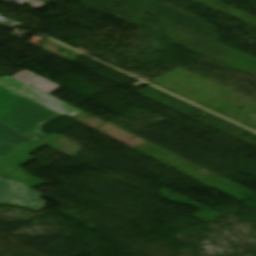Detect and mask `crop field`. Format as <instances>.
Segmentation results:
<instances>
[{
  "label": "crop field",
  "mask_w": 256,
  "mask_h": 256,
  "mask_svg": "<svg viewBox=\"0 0 256 256\" xmlns=\"http://www.w3.org/2000/svg\"><path fill=\"white\" fill-rule=\"evenodd\" d=\"M43 106L54 110L62 115H65L69 118L83 112L57 98H52L51 100H49L47 103H45ZM72 119V118H71Z\"/></svg>",
  "instance_id": "e52e79f7"
},
{
  "label": "crop field",
  "mask_w": 256,
  "mask_h": 256,
  "mask_svg": "<svg viewBox=\"0 0 256 256\" xmlns=\"http://www.w3.org/2000/svg\"><path fill=\"white\" fill-rule=\"evenodd\" d=\"M0 85L40 105L53 97L11 77H0Z\"/></svg>",
  "instance_id": "412701ff"
},
{
  "label": "crop field",
  "mask_w": 256,
  "mask_h": 256,
  "mask_svg": "<svg viewBox=\"0 0 256 256\" xmlns=\"http://www.w3.org/2000/svg\"><path fill=\"white\" fill-rule=\"evenodd\" d=\"M62 115L0 86V123L37 140L41 125Z\"/></svg>",
  "instance_id": "8a807250"
},
{
  "label": "crop field",
  "mask_w": 256,
  "mask_h": 256,
  "mask_svg": "<svg viewBox=\"0 0 256 256\" xmlns=\"http://www.w3.org/2000/svg\"><path fill=\"white\" fill-rule=\"evenodd\" d=\"M19 191L22 194L32 195L34 197H43L35 190L26 187L20 183ZM34 197L18 194L16 191V181L0 177V204H12L29 207L35 211L47 206V201L36 199Z\"/></svg>",
  "instance_id": "34b2d1b8"
},
{
  "label": "crop field",
  "mask_w": 256,
  "mask_h": 256,
  "mask_svg": "<svg viewBox=\"0 0 256 256\" xmlns=\"http://www.w3.org/2000/svg\"><path fill=\"white\" fill-rule=\"evenodd\" d=\"M34 140L0 124V157Z\"/></svg>",
  "instance_id": "f4fd0767"
},
{
  "label": "crop field",
  "mask_w": 256,
  "mask_h": 256,
  "mask_svg": "<svg viewBox=\"0 0 256 256\" xmlns=\"http://www.w3.org/2000/svg\"><path fill=\"white\" fill-rule=\"evenodd\" d=\"M12 77H15L41 91H44L48 94L54 92L55 90H57L58 88H60L61 86L58 85V84H55L49 80H46L40 76H37L33 73H30L26 70H23L17 74H15L14 76Z\"/></svg>",
  "instance_id": "dd49c442"
},
{
  "label": "crop field",
  "mask_w": 256,
  "mask_h": 256,
  "mask_svg": "<svg viewBox=\"0 0 256 256\" xmlns=\"http://www.w3.org/2000/svg\"><path fill=\"white\" fill-rule=\"evenodd\" d=\"M45 145L35 141L3 158L0 159V172L13 170L4 173V175L23 183L31 188L38 187L44 184H48L47 182L19 169L20 167L24 166L25 164L31 162L35 158L29 156L30 154L34 153L35 151L41 149Z\"/></svg>",
  "instance_id": "ac0d7876"
}]
</instances>
